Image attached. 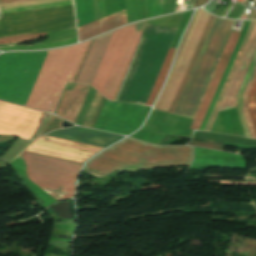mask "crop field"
Segmentation results:
<instances>
[{
	"label": "crop field",
	"mask_w": 256,
	"mask_h": 256,
	"mask_svg": "<svg viewBox=\"0 0 256 256\" xmlns=\"http://www.w3.org/2000/svg\"><path fill=\"white\" fill-rule=\"evenodd\" d=\"M46 35V33L43 34H35V35H28V36H20V37H13V38H5L0 39V44L4 43H12V42H21V41H28L40 36Z\"/></svg>",
	"instance_id": "23"
},
{
	"label": "crop field",
	"mask_w": 256,
	"mask_h": 256,
	"mask_svg": "<svg viewBox=\"0 0 256 256\" xmlns=\"http://www.w3.org/2000/svg\"><path fill=\"white\" fill-rule=\"evenodd\" d=\"M90 41L49 52L0 55V99L54 113L67 82L72 83Z\"/></svg>",
	"instance_id": "1"
},
{
	"label": "crop field",
	"mask_w": 256,
	"mask_h": 256,
	"mask_svg": "<svg viewBox=\"0 0 256 256\" xmlns=\"http://www.w3.org/2000/svg\"><path fill=\"white\" fill-rule=\"evenodd\" d=\"M239 35L240 34H238V33H234V32L231 33V35L229 37V40H228V42L226 44V47H225V49L223 51V54H222V56L220 58V61H219L218 65H217V68H216V70L214 72V75H213V77L211 79V82H210V84L208 86V89H207V91L205 93V96H204V98L202 100V103H201V105L199 107V110H198V112L196 114V117H195V119L193 121V124H192L190 129H194V130H198L199 129V127L201 125V122H202V120L204 118V115H205V113H206V111L208 109V106H209L210 102H211V99H212V97L214 95V92H215V90L217 88V85H218V83H219V81L221 79V76H222V74L224 72V69H225V67L227 65V62H228V60L230 58V55H231V53H232V51L234 49V46H235V44L237 42V39H238Z\"/></svg>",
	"instance_id": "11"
},
{
	"label": "crop field",
	"mask_w": 256,
	"mask_h": 256,
	"mask_svg": "<svg viewBox=\"0 0 256 256\" xmlns=\"http://www.w3.org/2000/svg\"><path fill=\"white\" fill-rule=\"evenodd\" d=\"M126 23H127L126 12L124 9L116 14H113L111 16L98 20L84 27H81V28L78 27L79 40L83 41L85 39H88L90 37H93L102 32H105L107 30H110L112 28H115L117 26H120Z\"/></svg>",
	"instance_id": "15"
},
{
	"label": "crop field",
	"mask_w": 256,
	"mask_h": 256,
	"mask_svg": "<svg viewBox=\"0 0 256 256\" xmlns=\"http://www.w3.org/2000/svg\"><path fill=\"white\" fill-rule=\"evenodd\" d=\"M255 77H256V67H255V70H254V72H253V74L251 76V79H250L249 83H248V86H247V88H246V90L244 92L243 111H244L245 118H246L249 130H250L251 137L256 139V135H255V132H254V129H253V126H252V123H251L248 111H247L248 93H249V91L251 89V86H252V84L254 82Z\"/></svg>",
	"instance_id": "21"
},
{
	"label": "crop field",
	"mask_w": 256,
	"mask_h": 256,
	"mask_svg": "<svg viewBox=\"0 0 256 256\" xmlns=\"http://www.w3.org/2000/svg\"><path fill=\"white\" fill-rule=\"evenodd\" d=\"M77 38L73 39H67V40H62V41H57V42H51V43H46V44H40V45H32V46H18V47H1V51H6V50H18V49H40V48H50V47H59L63 45H68L72 43H76Z\"/></svg>",
	"instance_id": "20"
},
{
	"label": "crop field",
	"mask_w": 256,
	"mask_h": 256,
	"mask_svg": "<svg viewBox=\"0 0 256 256\" xmlns=\"http://www.w3.org/2000/svg\"><path fill=\"white\" fill-rule=\"evenodd\" d=\"M76 28L73 7L0 17V38Z\"/></svg>",
	"instance_id": "8"
},
{
	"label": "crop field",
	"mask_w": 256,
	"mask_h": 256,
	"mask_svg": "<svg viewBox=\"0 0 256 256\" xmlns=\"http://www.w3.org/2000/svg\"><path fill=\"white\" fill-rule=\"evenodd\" d=\"M68 142L70 141L44 136L39 140H37L35 143L32 142L33 144L31 143L32 145L30 144L31 146L29 145L30 147L28 146L29 148H27L25 151L83 163L89 156L95 154L102 148V147L97 148V147L75 143V144L90 147L88 149L87 147L71 144L74 142H71V143H68ZM65 146L67 149L78 150L83 152H86L88 149V151L86 153H83L78 151L67 150V149H64Z\"/></svg>",
	"instance_id": "10"
},
{
	"label": "crop field",
	"mask_w": 256,
	"mask_h": 256,
	"mask_svg": "<svg viewBox=\"0 0 256 256\" xmlns=\"http://www.w3.org/2000/svg\"><path fill=\"white\" fill-rule=\"evenodd\" d=\"M175 50L176 49H170L169 50V52H168V54L166 56V59H165V61L163 63V66H162V68H161V70L159 72V75H158V77L156 79V82H155V84H154V86L152 88V91H151V93L149 95V98H148V100H147L145 105L152 106V104H153V102H154V100H155V98H156V96L158 94V91H159V89H160V87H161V85H162V83H163V81H164V79L166 77V74L168 72V68H169V65H170V62L172 60V57L174 55Z\"/></svg>",
	"instance_id": "19"
},
{
	"label": "crop field",
	"mask_w": 256,
	"mask_h": 256,
	"mask_svg": "<svg viewBox=\"0 0 256 256\" xmlns=\"http://www.w3.org/2000/svg\"><path fill=\"white\" fill-rule=\"evenodd\" d=\"M189 145L224 151V147H222V146H216V145L205 144V143H200V142L191 141L189 143Z\"/></svg>",
	"instance_id": "24"
},
{
	"label": "crop field",
	"mask_w": 256,
	"mask_h": 256,
	"mask_svg": "<svg viewBox=\"0 0 256 256\" xmlns=\"http://www.w3.org/2000/svg\"><path fill=\"white\" fill-rule=\"evenodd\" d=\"M89 88L76 85L71 91L66 90L56 114L74 123Z\"/></svg>",
	"instance_id": "13"
},
{
	"label": "crop field",
	"mask_w": 256,
	"mask_h": 256,
	"mask_svg": "<svg viewBox=\"0 0 256 256\" xmlns=\"http://www.w3.org/2000/svg\"><path fill=\"white\" fill-rule=\"evenodd\" d=\"M48 136L73 140L77 142H82V143H87V144H92V145H97L102 147H106L111 143H113L114 141L122 138V136L102 133V132L78 128V127H71L67 129L57 130L48 134Z\"/></svg>",
	"instance_id": "12"
},
{
	"label": "crop field",
	"mask_w": 256,
	"mask_h": 256,
	"mask_svg": "<svg viewBox=\"0 0 256 256\" xmlns=\"http://www.w3.org/2000/svg\"><path fill=\"white\" fill-rule=\"evenodd\" d=\"M73 5V0H36L0 5V14Z\"/></svg>",
	"instance_id": "17"
},
{
	"label": "crop field",
	"mask_w": 256,
	"mask_h": 256,
	"mask_svg": "<svg viewBox=\"0 0 256 256\" xmlns=\"http://www.w3.org/2000/svg\"><path fill=\"white\" fill-rule=\"evenodd\" d=\"M234 21L215 18L174 115L192 118Z\"/></svg>",
	"instance_id": "4"
},
{
	"label": "crop field",
	"mask_w": 256,
	"mask_h": 256,
	"mask_svg": "<svg viewBox=\"0 0 256 256\" xmlns=\"http://www.w3.org/2000/svg\"><path fill=\"white\" fill-rule=\"evenodd\" d=\"M223 145L232 146V147H241V148L255 149V148H252V147L240 146V145H235V144H231V143H224Z\"/></svg>",
	"instance_id": "25"
},
{
	"label": "crop field",
	"mask_w": 256,
	"mask_h": 256,
	"mask_svg": "<svg viewBox=\"0 0 256 256\" xmlns=\"http://www.w3.org/2000/svg\"><path fill=\"white\" fill-rule=\"evenodd\" d=\"M147 21L115 31L91 84L113 100Z\"/></svg>",
	"instance_id": "5"
},
{
	"label": "crop field",
	"mask_w": 256,
	"mask_h": 256,
	"mask_svg": "<svg viewBox=\"0 0 256 256\" xmlns=\"http://www.w3.org/2000/svg\"><path fill=\"white\" fill-rule=\"evenodd\" d=\"M255 48H256V28L219 111L236 107L235 106L236 92L246 72V69L249 65V62L252 58Z\"/></svg>",
	"instance_id": "14"
},
{
	"label": "crop field",
	"mask_w": 256,
	"mask_h": 256,
	"mask_svg": "<svg viewBox=\"0 0 256 256\" xmlns=\"http://www.w3.org/2000/svg\"><path fill=\"white\" fill-rule=\"evenodd\" d=\"M251 21H247L199 130H203Z\"/></svg>",
	"instance_id": "18"
},
{
	"label": "crop field",
	"mask_w": 256,
	"mask_h": 256,
	"mask_svg": "<svg viewBox=\"0 0 256 256\" xmlns=\"http://www.w3.org/2000/svg\"><path fill=\"white\" fill-rule=\"evenodd\" d=\"M255 26H256V21H252L250 26H249V29H248V31H247V33L245 35V38H244V40L242 42V45H241V47H240V49L238 51V54H237V56L235 58V61H234L233 65H232V67H231V70H230V72L228 74V77H227V79L225 81V84H224V86H223V88L221 90V93H220V95L218 97V100H217V102H216V104L214 106V109H213V111L211 113V116H210V118H209V120L207 122V125H206L204 130L209 131L211 126H212V124H213V121H214V119H215V117L217 115V112H218V110L220 108V105H221V103H222V101L224 99V96H225V94H226V92L228 90V87H229V85H230V83L232 81V78H233V76L235 74V71H236V69H237V67L239 65V62H240V60H241V58L243 56V53H244V51H245V49L247 47V44H248V42L250 40V37H251V35H252L253 31H254Z\"/></svg>",
	"instance_id": "16"
},
{
	"label": "crop field",
	"mask_w": 256,
	"mask_h": 256,
	"mask_svg": "<svg viewBox=\"0 0 256 256\" xmlns=\"http://www.w3.org/2000/svg\"><path fill=\"white\" fill-rule=\"evenodd\" d=\"M191 159L192 148L189 146H156L127 138L92 158L84 169L101 176L118 165L155 168L189 165ZM84 169L83 171L99 178ZM116 169L130 171L144 168L118 166L102 177L108 176Z\"/></svg>",
	"instance_id": "2"
},
{
	"label": "crop field",
	"mask_w": 256,
	"mask_h": 256,
	"mask_svg": "<svg viewBox=\"0 0 256 256\" xmlns=\"http://www.w3.org/2000/svg\"><path fill=\"white\" fill-rule=\"evenodd\" d=\"M248 111L256 132V79L249 93Z\"/></svg>",
	"instance_id": "22"
},
{
	"label": "crop field",
	"mask_w": 256,
	"mask_h": 256,
	"mask_svg": "<svg viewBox=\"0 0 256 256\" xmlns=\"http://www.w3.org/2000/svg\"><path fill=\"white\" fill-rule=\"evenodd\" d=\"M176 30L146 26L115 100L145 104Z\"/></svg>",
	"instance_id": "3"
},
{
	"label": "crop field",
	"mask_w": 256,
	"mask_h": 256,
	"mask_svg": "<svg viewBox=\"0 0 256 256\" xmlns=\"http://www.w3.org/2000/svg\"><path fill=\"white\" fill-rule=\"evenodd\" d=\"M51 115L0 102V134L34 139Z\"/></svg>",
	"instance_id": "9"
},
{
	"label": "crop field",
	"mask_w": 256,
	"mask_h": 256,
	"mask_svg": "<svg viewBox=\"0 0 256 256\" xmlns=\"http://www.w3.org/2000/svg\"><path fill=\"white\" fill-rule=\"evenodd\" d=\"M28 178L53 195L66 199L74 194L80 164L22 152Z\"/></svg>",
	"instance_id": "7"
},
{
	"label": "crop field",
	"mask_w": 256,
	"mask_h": 256,
	"mask_svg": "<svg viewBox=\"0 0 256 256\" xmlns=\"http://www.w3.org/2000/svg\"><path fill=\"white\" fill-rule=\"evenodd\" d=\"M19 1H27V0H0V4L11 3V2H19Z\"/></svg>",
	"instance_id": "26"
},
{
	"label": "crop field",
	"mask_w": 256,
	"mask_h": 256,
	"mask_svg": "<svg viewBox=\"0 0 256 256\" xmlns=\"http://www.w3.org/2000/svg\"><path fill=\"white\" fill-rule=\"evenodd\" d=\"M204 12H203V10H198L196 15H195V18L192 22L190 30L187 34V37L184 41V44L181 48V51L178 55V58H177L176 62H175L173 70H172V72L170 74V77L167 81V84H166V86H165V88H164L156 106H155V108H157V109H162V110L168 111L171 104H172V101H173V99L176 95V92L179 88V85H180V83L183 79V76H184V74L187 70V67H188V65L191 61V58H192V56L195 52V49H196V47L199 43V40L202 36V33H203V31L206 27V24H207V22L210 18V16L205 14ZM214 18L215 17L211 15V18H210V20L207 24V27H206V29L203 33V36L200 40V43H199V45L196 49V52H195V54L192 58V61L189 65L188 70H187V72L184 76V79H183V81L180 85V88L177 92V95H176V97L173 101V104H172V106L169 110V112H171V113H173L175 108H176V105L179 101V98H180L182 92H183V89L186 85V82L189 78V75L192 71V68H193L195 62H196V59L199 55V52L202 48V45L205 41V38H206V36L209 32V29L212 25V22H213Z\"/></svg>",
	"instance_id": "6"
}]
</instances>
